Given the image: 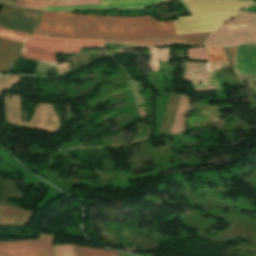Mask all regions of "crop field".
Masks as SVG:
<instances>
[{
  "instance_id": "92a150f3",
  "label": "crop field",
  "mask_w": 256,
  "mask_h": 256,
  "mask_svg": "<svg viewBox=\"0 0 256 256\" xmlns=\"http://www.w3.org/2000/svg\"><path fill=\"white\" fill-rule=\"evenodd\" d=\"M166 1H168V0H166Z\"/></svg>"
},
{
  "instance_id": "28ad6ade",
  "label": "crop field",
  "mask_w": 256,
  "mask_h": 256,
  "mask_svg": "<svg viewBox=\"0 0 256 256\" xmlns=\"http://www.w3.org/2000/svg\"><path fill=\"white\" fill-rule=\"evenodd\" d=\"M73 246L75 256H118L115 251L100 250L88 247Z\"/></svg>"
},
{
  "instance_id": "d8731c3e",
  "label": "crop field",
  "mask_w": 256,
  "mask_h": 256,
  "mask_svg": "<svg viewBox=\"0 0 256 256\" xmlns=\"http://www.w3.org/2000/svg\"><path fill=\"white\" fill-rule=\"evenodd\" d=\"M31 211L0 206V227L23 226L29 222Z\"/></svg>"
},
{
  "instance_id": "bc2a9ffb",
  "label": "crop field",
  "mask_w": 256,
  "mask_h": 256,
  "mask_svg": "<svg viewBox=\"0 0 256 256\" xmlns=\"http://www.w3.org/2000/svg\"><path fill=\"white\" fill-rule=\"evenodd\" d=\"M138 255H141V256H150V255H146V254H138Z\"/></svg>"
},
{
  "instance_id": "f4fd0767",
  "label": "crop field",
  "mask_w": 256,
  "mask_h": 256,
  "mask_svg": "<svg viewBox=\"0 0 256 256\" xmlns=\"http://www.w3.org/2000/svg\"><path fill=\"white\" fill-rule=\"evenodd\" d=\"M212 33H197L189 35H179L171 37L160 38H138V39H122V40H109L104 39L105 42L137 45V46H154V45H167V44H189V45H203L205 40Z\"/></svg>"
},
{
  "instance_id": "3316defc",
  "label": "crop field",
  "mask_w": 256,
  "mask_h": 256,
  "mask_svg": "<svg viewBox=\"0 0 256 256\" xmlns=\"http://www.w3.org/2000/svg\"><path fill=\"white\" fill-rule=\"evenodd\" d=\"M190 109V99L184 95L180 96L179 107L176 112L173 128L170 134H182L186 129V114Z\"/></svg>"
},
{
  "instance_id": "412701ff",
  "label": "crop field",
  "mask_w": 256,
  "mask_h": 256,
  "mask_svg": "<svg viewBox=\"0 0 256 256\" xmlns=\"http://www.w3.org/2000/svg\"><path fill=\"white\" fill-rule=\"evenodd\" d=\"M4 256H54L53 236L41 234L37 240L0 242Z\"/></svg>"
},
{
  "instance_id": "d9b57169",
  "label": "crop field",
  "mask_w": 256,
  "mask_h": 256,
  "mask_svg": "<svg viewBox=\"0 0 256 256\" xmlns=\"http://www.w3.org/2000/svg\"><path fill=\"white\" fill-rule=\"evenodd\" d=\"M78 4H99V0H60L53 6H69Z\"/></svg>"
},
{
  "instance_id": "4a817a6b",
  "label": "crop field",
  "mask_w": 256,
  "mask_h": 256,
  "mask_svg": "<svg viewBox=\"0 0 256 256\" xmlns=\"http://www.w3.org/2000/svg\"><path fill=\"white\" fill-rule=\"evenodd\" d=\"M55 256H74L70 245L54 246Z\"/></svg>"
},
{
  "instance_id": "d1516ede",
  "label": "crop field",
  "mask_w": 256,
  "mask_h": 256,
  "mask_svg": "<svg viewBox=\"0 0 256 256\" xmlns=\"http://www.w3.org/2000/svg\"><path fill=\"white\" fill-rule=\"evenodd\" d=\"M56 0H17V6L24 8L41 9L46 7Z\"/></svg>"
},
{
  "instance_id": "e52e79f7",
  "label": "crop field",
  "mask_w": 256,
  "mask_h": 256,
  "mask_svg": "<svg viewBox=\"0 0 256 256\" xmlns=\"http://www.w3.org/2000/svg\"><path fill=\"white\" fill-rule=\"evenodd\" d=\"M164 0H101L100 5H79L71 7H50L44 10L65 11L76 8H144Z\"/></svg>"
},
{
  "instance_id": "22f410ed",
  "label": "crop field",
  "mask_w": 256,
  "mask_h": 256,
  "mask_svg": "<svg viewBox=\"0 0 256 256\" xmlns=\"http://www.w3.org/2000/svg\"><path fill=\"white\" fill-rule=\"evenodd\" d=\"M209 61L227 62L223 47H207Z\"/></svg>"
},
{
  "instance_id": "733c2abd",
  "label": "crop field",
  "mask_w": 256,
  "mask_h": 256,
  "mask_svg": "<svg viewBox=\"0 0 256 256\" xmlns=\"http://www.w3.org/2000/svg\"><path fill=\"white\" fill-rule=\"evenodd\" d=\"M188 58L207 60L206 50L203 48L188 49Z\"/></svg>"
},
{
  "instance_id": "cbeb9de0",
  "label": "crop field",
  "mask_w": 256,
  "mask_h": 256,
  "mask_svg": "<svg viewBox=\"0 0 256 256\" xmlns=\"http://www.w3.org/2000/svg\"><path fill=\"white\" fill-rule=\"evenodd\" d=\"M166 97H167V92H165L164 94V100H163V97L156 96V128H155L154 136H156L158 133L160 120L165 108ZM162 100H163V108H162ZM161 108H162V112H161Z\"/></svg>"
},
{
  "instance_id": "5142ce71",
  "label": "crop field",
  "mask_w": 256,
  "mask_h": 256,
  "mask_svg": "<svg viewBox=\"0 0 256 256\" xmlns=\"http://www.w3.org/2000/svg\"><path fill=\"white\" fill-rule=\"evenodd\" d=\"M28 34L0 29V37L22 42Z\"/></svg>"
},
{
  "instance_id": "ac0d7876",
  "label": "crop field",
  "mask_w": 256,
  "mask_h": 256,
  "mask_svg": "<svg viewBox=\"0 0 256 256\" xmlns=\"http://www.w3.org/2000/svg\"><path fill=\"white\" fill-rule=\"evenodd\" d=\"M84 47H104V42L94 39H64L31 35L24 42L22 57L34 60H56L55 52L79 53Z\"/></svg>"
},
{
  "instance_id": "214f88e0",
  "label": "crop field",
  "mask_w": 256,
  "mask_h": 256,
  "mask_svg": "<svg viewBox=\"0 0 256 256\" xmlns=\"http://www.w3.org/2000/svg\"><path fill=\"white\" fill-rule=\"evenodd\" d=\"M128 256H132V255H128Z\"/></svg>"
},
{
  "instance_id": "dd49c442",
  "label": "crop field",
  "mask_w": 256,
  "mask_h": 256,
  "mask_svg": "<svg viewBox=\"0 0 256 256\" xmlns=\"http://www.w3.org/2000/svg\"><path fill=\"white\" fill-rule=\"evenodd\" d=\"M224 49L236 74L235 46L224 47ZM236 60L237 74H252L253 78L256 79V46L236 47Z\"/></svg>"
},
{
  "instance_id": "8a807250",
  "label": "crop field",
  "mask_w": 256,
  "mask_h": 256,
  "mask_svg": "<svg viewBox=\"0 0 256 256\" xmlns=\"http://www.w3.org/2000/svg\"><path fill=\"white\" fill-rule=\"evenodd\" d=\"M35 34L78 38H137L176 35L173 21H157L149 16L75 15L43 12Z\"/></svg>"
},
{
  "instance_id": "5a996713",
  "label": "crop field",
  "mask_w": 256,
  "mask_h": 256,
  "mask_svg": "<svg viewBox=\"0 0 256 256\" xmlns=\"http://www.w3.org/2000/svg\"><path fill=\"white\" fill-rule=\"evenodd\" d=\"M20 49L21 43L0 38V73L9 69L11 63L16 60Z\"/></svg>"
},
{
  "instance_id": "34b2d1b8",
  "label": "crop field",
  "mask_w": 256,
  "mask_h": 256,
  "mask_svg": "<svg viewBox=\"0 0 256 256\" xmlns=\"http://www.w3.org/2000/svg\"><path fill=\"white\" fill-rule=\"evenodd\" d=\"M243 42H256V15L246 12L223 24L212 34L206 45Z\"/></svg>"
}]
</instances>
